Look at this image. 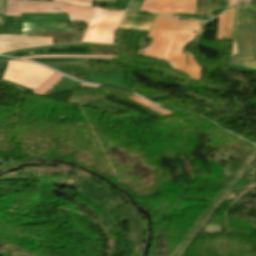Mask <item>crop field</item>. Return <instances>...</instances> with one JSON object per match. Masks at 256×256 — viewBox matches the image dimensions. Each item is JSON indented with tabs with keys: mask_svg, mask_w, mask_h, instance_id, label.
I'll list each match as a JSON object with an SVG mask.
<instances>
[{
	"mask_svg": "<svg viewBox=\"0 0 256 256\" xmlns=\"http://www.w3.org/2000/svg\"><path fill=\"white\" fill-rule=\"evenodd\" d=\"M230 63L256 69V7H236Z\"/></svg>",
	"mask_w": 256,
	"mask_h": 256,
	"instance_id": "obj_1",
	"label": "crop field"
},
{
	"mask_svg": "<svg viewBox=\"0 0 256 256\" xmlns=\"http://www.w3.org/2000/svg\"><path fill=\"white\" fill-rule=\"evenodd\" d=\"M50 9H61V11H52ZM92 9L43 1H7L5 16H20V13L66 12L70 21L88 23Z\"/></svg>",
	"mask_w": 256,
	"mask_h": 256,
	"instance_id": "obj_2",
	"label": "crop field"
},
{
	"mask_svg": "<svg viewBox=\"0 0 256 256\" xmlns=\"http://www.w3.org/2000/svg\"><path fill=\"white\" fill-rule=\"evenodd\" d=\"M123 13L94 8L82 42L112 44L114 29Z\"/></svg>",
	"mask_w": 256,
	"mask_h": 256,
	"instance_id": "obj_3",
	"label": "crop field"
},
{
	"mask_svg": "<svg viewBox=\"0 0 256 256\" xmlns=\"http://www.w3.org/2000/svg\"><path fill=\"white\" fill-rule=\"evenodd\" d=\"M52 74L54 72L42 66L24 61H8V67L2 79L34 90Z\"/></svg>",
	"mask_w": 256,
	"mask_h": 256,
	"instance_id": "obj_4",
	"label": "crop field"
},
{
	"mask_svg": "<svg viewBox=\"0 0 256 256\" xmlns=\"http://www.w3.org/2000/svg\"><path fill=\"white\" fill-rule=\"evenodd\" d=\"M196 0H145L141 9L161 14H194Z\"/></svg>",
	"mask_w": 256,
	"mask_h": 256,
	"instance_id": "obj_5",
	"label": "crop field"
},
{
	"mask_svg": "<svg viewBox=\"0 0 256 256\" xmlns=\"http://www.w3.org/2000/svg\"><path fill=\"white\" fill-rule=\"evenodd\" d=\"M53 44L51 38L0 35V53L13 49Z\"/></svg>",
	"mask_w": 256,
	"mask_h": 256,
	"instance_id": "obj_6",
	"label": "crop field"
},
{
	"mask_svg": "<svg viewBox=\"0 0 256 256\" xmlns=\"http://www.w3.org/2000/svg\"><path fill=\"white\" fill-rule=\"evenodd\" d=\"M46 64L61 72L79 71L85 72L88 66H84V61H105L111 59H89V58H41L29 59ZM60 66V68L58 67Z\"/></svg>",
	"mask_w": 256,
	"mask_h": 256,
	"instance_id": "obj_7",
	"label": "crop field"
},
{
	"mask_svg": "<svg viewBox=\"0 0 256 256\" xmlns=\"http://www.w3.org/2000/svg\"><path fill=\"white\" fill-rule=\"evenodd\" d=\"M152 27L188 33H193V31L196 30V34H199L200 31V24L197 21L174 20V17H169L167 19L166 17L157 16Z\"/></svg>",
	"mask_w": 256,
	"mask_h": 256,
	"instance_id": "obj_8",
	"label": "crop field"
},
{
	"mask_svg": "<svg viewBox=\"0 0 256 256\" xmlns=\"http://www.w3.org/2000/svg\"><path fill=\"white\" fill-rule=\"evenodd\" d=\"M156 16H143L134 11L126 12L119 28L148 31Z\"/></svg>",
	"mask_w": 256,
	"mask_h": 256,
	"instance_id": "obj_9",
	"label": "crop field"
},
{
	"mask_svg": "<svg viewBox=\"0 0 256 256\" xmlns=\"http://www.w3.org/2000/svg\"><path fill=\"white\" fill-rule=\"evenodd\" d=\"M22 26H35V27H22V34L33 33L35 31H72L71 29H68L64 24L22 22Z\"/></svg>",
	"mask_w": 256,
	"mask_h": 256,
	"instance_id": "obj_10",
	"label": "crop field"
},
{
	"mask_svg": "<svg viewBox=\"0 0 256 256\" xmlns=\"http://www.w3.org/2000/svg\"><path fill=\"white\" fill-rule=\"evenodd\" d=\"M44 52H91V46H73V47H64V48L25 51V52L9 54V56H17V55H25V54H33V53H44Z\"/></svg>",
	"mask_w": 256,
	"mask_h": 256,
	"instance_id": "obj_11",
	"label": "crop field"
},
{
	"mask_svg": "<svg viewBox=\"0 0 256 256\" xmlns=\"http://www.w3.org/2000/svg\"><path fill=\"white\" fill-rule=\"evenodd\" d=\"M63 75L58 73L52 75L48 80L41 84L37 89L34 90L33 94L41 97L43 96L54 84H56Z\"/></svg>",
	"mask_w": 256,
	"mask_h": 256,
	"instance_id": "obj_12",
	"label": "crop field"
},
{
	"mask_svg": "<svg viewBox=\"0 0 256 256\" xmlns=\"http://www.w3.org/2000/svg\"><path fill=\"white\" fill-rule=\"evenodd\" d=\"M127 99L132 100V101H134V102H136V103H138L140 105H143V106H145V107L155 111L156 113H158V114H160V115H162L164 117L172 115L170 112H168L167 110L163 109L162 107L156 106L154 104H151V103H149V102H147V101H145V100H143V99H141L139 97L133 96V97H130V98H127Z\"/></svg>",
	"mask_w": 256,
	"mask_h": 256,
	"instance_id": "obj_13",
	"label": "crop field"
},
{
	"mask_svg": "<svg viewBox=\"0 0 256 256\" xmlns=\"http://www.w3.org/2000/svg\"><path fill=\"white\" fill-rule=\"evenodd\" d=\"M234 10H235V7L227 11L223 40H231Z\"/></svg>",
	"mask_w": 256,
	"mask_h": 256,
	"instance_id": "obj_14",
	"label": "crop field"
},
{
	"mask_svg": "<svg viewBox=\"0 0 256 256\" xmlns=\"http://www.w3.org/2000/svg\"><path fill=\"white\" fill-rule=\"evenodd\" d=\"M209 0H197L196 14L208 13Z\"/></svg>",
	"mask_w": 256,
	"mask_h": 256,
	"instance_id": "obj_15",
	"label": "crop field"
},
{
	"mask_svg": "<svg viewBox=\"0 0 256 256\" xmlns=\"http://www.w3.org/2000/svg\"><path fill=\"white\" fill-rule=\"evenodd\" d=\"M41 57H89V58H118L116 56H76V55H53V56H33L19 58H41Z\"/></svg>",
	"mask_w": 256,
	"mask_h": 256,
	"instance_id": "obj_16",
	"label": "crop field"
},
{
	"mask_svg": "<svg viewBox=\"0 0 256 256\" xmlns=\"http://www.w3.org/2000/svg\"><path fill=\"white\" fill-rule=\"evenodd\" d=\"M227 4L228 0H211L209 12H211L214 9L225 8L227 7Z\"/></svg>",
	"mask_w": 256,
	"mask_h": 256,
	"instance_id": "obj_17",
	"label": "crop field"
},
{
	"mask_svg": "<svg viewBox=\"0 0 256 256\" xmlns=\"http://www.w3.org/2000/svg\"><path fill=\"white\" fill-rule=\"evenodd\" d=\"M52 54L103 55L101 53H45V54H33V55H52ZM33 55H26V56H33Z\"/></svg>",
	"mask_w": 256,
	"mask_h": 256,
	"instance_id": "obj_18",
	"label": "crop field"
},
{
	"mask_svg": "<svg viewBox=\"0 0 256 256\" xmlns=\"http://www.w3.org/2000/svg\"><path fill=\"white\" fill-rule=\"evenodd\" d=\"M54 1H63L71 4L86 5V6H90L91 4V3L79 2V0H54ZM86 1H91V0H86Z\"/></svg>",
	"mask_w": 256,
	"mask_h": 256,
	"instance_id": "obj_19",
	"label": "crop field"
},
{
	"mask_svg": "<svg viewBox=\"0 0 256 256\" xmlns=\"http://www.w3.org/2000/svg\"><path fill=\"white\" fill-rule=\"evenodd\" d=\"M4 8H5V1H0V25H3V21H4Z\"/></svg>",
	"mask_w": 256,
	"mask_h": 256,
	"instance_id": "obj_20",
	"label": "crop field"
},
{
	"mask_svg": "<svg viewBox=\"0 0 256 256\" xmlns=\"http://www.w3.org/2000/svg\"><path fill=\"white\" fill-rule=\"evenodd\" d=\"M143 0H133L131 3H130V7L135 9V10H139L141 4H142Z\"/></svg>",
	"mask_w": 256,
	"mask_h": 256,
	"instance_id": "obj_21",
	"label": "crop field"
},
{
	"mask_svg": "<svg viewBox=\"0 0 256 256\" xmlns=\"http://www.w3.org/2000/svg\"><path fill=\"white\" fill-rule=\"evenodd\" d=\"M81 87L100 89V87H99V86L86 85V84H82V85H81Z\"/></svg>",
	"mask_w": 256,
	"mask_h": 256,
	"instance_id": "obj_22",
	"label": "crop field"
},
{
	"mask_svg": "<svg viewBox=\"0 0 256 256\" xmlns=\"http://www.w3.org/2000/svg\"><path fill=\"white\" fill-rule=\"evenodd\" d=\"M7 59L8 58L0 57V64L7 65Z\"/></svg>",
	"mask_w": 256,
	"mask_h": 256,
	"instance_id": "obj_23",
	"label": "crop field"
},
{
	"mask_svg": "<svg viewBox=\"0 0 256 256\" xmlns=\"http://www.w3.org/2000/svg\"><path fill=\"white\" fill-rule=\"evenodd\" d=\"M238 0H229L228 7L237 4Z\"/></svg>",
	"mask_w": 256,
	"mask_h": 256,
	"instance_id": "obj_24",
	"label": "crop field"
},
{
	"mask_svg": "<svg viewBox=\"0 0 256 256\" xmlns=\"http://www.w3.org/2000/svg\"><path fill=\"white\" fill-rule=\"evenodd\" d=\"M95 1L114 2L115 0H95Z\"/></svg>",
	"mask_w": 256,
	"mask_h": 256,
	"instance_id": "obj_25",
	"label": "crop field"
},
{
	"mask_svg": "<svg viewBox=\"0 0 256 256\" xmlns=\"http://www.w3.org/2000/svg\"><path fill=\"white\" fill-rule=\"evenodd\" d=\"M48 1H53V0H48Z\"/></svg>",
	"mask_w": 256,
	"mask_h": 256,
	"instance_id": "obj_26",
	"label": "crop field"
}]
</instances>
